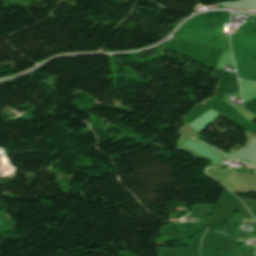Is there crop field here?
I'll use <instances>...</instances> for the list:
<instances>
[{
  "mask_svg": "<svg viewBox=\"0 0 256 256\" xmlns=\"http://www.w3.org/2000/svg\"><path fill=\"white\" fill-rule=\"evenodd\" d=\"M249 162H251V161H249ZM252 163V162H251Z\"/></svg>",
  "mask_w": 256,
  "mask_h": 256,
  "instance_id": "crop-field-1",
  "label": "crop field"
}]
</instances>
